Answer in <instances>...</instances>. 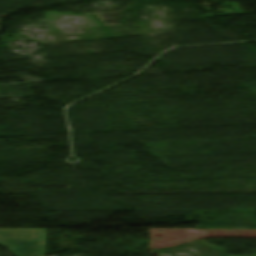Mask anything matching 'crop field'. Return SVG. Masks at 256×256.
Listing matches in <instances>:
<instances>
[{
  "label": "crop field",
  "mask_w": 256,
  "mask_h": 256,
  "mask_svg": "<svg viewBox=\"0 0 256 256\" xmlns=\"http://www.w3.org/2000/svg\"><path fill=\"white\" fill-rule=\"evenodd\" d=\"M45 229H0V244L14 256H45Z\"/></svg>",
  "instance_id": "crop-field-1"
}]
</instances>
